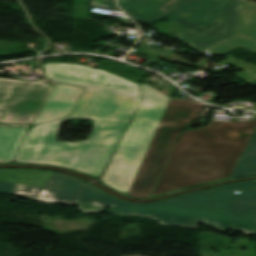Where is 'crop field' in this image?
Wrapping results in <instances>:
<instances>
[{"mask_svg": "<svg viewBox=\"0 0 256 256\" xmlns=\"http://www.w3.org/2000/svg\"><path fill=\"white\" fill-rule=\"evenodd\" d=\"M28 126L0 124V163H11Z\"/></svg>", "mask_w": 256, "mask_h": 256, "instance_id": "obj_12", "label": "crop field"}, {"mask_svg": "<svg viewBox=\"0 0 256 256\" xmlns=\"http://www.w3.org/2000/svg\"><path fill=\"white\" fill-rule=\"evenodd\" d=\"M48 79L87 87L72 114L27 131L16 162L50 164L100 177L141 102L139 85L102 69L80 64H44ZM82 117L95 121L88 140L58 142L61 123Z\"/></svg>", "mask_w": 256, "mask_h": 256, "instance_id": "obj_1", "label": "crop field"}, {"mask_svg": "<svg viewBox=\"0 0 256 256\" xmlns=\"http://www.w3.org/2000/svg\"><path fill=\"white\" fill-rule=\"evenodd\" d=\"M203 107L204 105L199 102L170 100L128 196L149 197L167 162L176 138L188 122L201 118L197 113Z\"/></svg>", "mask_w": 256, "mask_h": 256, "instance_id": "obj_6", "label": "crop field"}, {"mask_svg": "<svg viewBox=\"0 0 256 256\" xmlns=\"http://www.w3.org/2000/svg\"><path fill=\"white\" fill-rule=\"evenodd\" d=\"M238 46L256 52V6L246 3L239 33L207 51L222 55Z\"/></svg>", "mask_w": 256, "mask_h": 256, "instance_id": "obj_11", "label": "crop field"}, {"mask_svg": "<svg viewBox=\"0 0 256 256\" xmlns=\"http://www.w3.org/2000/svg\"><path fill=\"white\" fill-rule=\"evenodd\" d=\"M50 88L41 82L0 78V122H33Z\"/></svg>", "mask_w": 256, "mask_h": 256, "instance_id": "obj_7", "label": "crop field"}, {"mask_svg": "<svg viewBox=\"0 0 256 256\" xmlns=\"http://www.w3.org/2000/svg\"><path fill=\"white\" fill-rule=\"evenodd\" d=\"M162 1H166V0H162Z\"/></svg>", "mask_w": 256, "mask_h": 256, "instance_id": "obj_18", "label": "crop field"}, {"mask_svg": "<svg viewBox=\"0 0 256 256\" xmlns=\"http://www.w3.org/2000/svg\"><path fill=\"white\" fill-rule=\"evenodd\" d=\"M16 184L0 180V193L14 195Z\"/></svg>", "mask_w": 256, "mask_h": 256, "instance_id": "obj_17", "label": "crop field"}, {"mask_svg": "<svg viewBox=\"0 0 256 256\" xmlns=\"http://www.w3.org/2000/svg\"><path fill=\"white\" fill-rule=\"evenodd\" d=\"M91 6L114 10V11H120L116 6H114L109 0H92L90 3Z\"/></svg>", "mask_w": 256, "mask_h": 256, "instance_id": "obj_16", "label": "crop field"}, {"mask_svg": "<svg viewBox=\"0 0 256 256\" xmlns=\"http://www.w3.org/2000/svg\"><path fill=\"white\" fill-rule=\"evenodd\" d=\"M83 88L56 83L34 123H44L70 115Z\"/></svg>", "mask_w": 256, "mask_h": 256, "instance_id": "obj_10", "label": "crop field"}, {"mask_svg": "<svg viewBox=\"0 0 256 256\" xmlns=\"http://www.w3.org/2000/svg\"><path fill=\"white\" fill-rule=\"evenodd\" d=\"M119 6L133 19L151 25L201 0H118Z\"/></svg>", "mask_w": 256, "mask_h": 256, "instance_id": "obj_9", "label": "crop field"}, {"mask_svg": "<svg viewBox=\"0 0 256 256\" xmlns=\"http://www.w3.org/2000/svg\"><path fill=\"white\" fill-rule=\"evenodd\" d=\"M234 191H240L235 194ZM111 207L113 214L138 215L158 220L166 226L199 229L205 224L221 232L232 228L254 234L256 231V180L201 190L148 204L128 203L85 185L78 208L87 214Z\"/></svg>", "mask_w": 256, "mask_h": 256, "instance_id": "obj_2", "label": "crop field"}, {"mask_svg": "<svg viewBox=\"0 0 256 256\" xmlns=\"http://www.w3.org/2000/svg\"><path fill=\"white\" fill-rule=\"evenodd\" d=\"M54 172L27 169L0 170V179L42 188Z\"/></svg>", "mask_w": 256, "mask_h": 256, "instance_id": "obj_13", "label": "crop field"}, {"mask_svg": "<svg viewBox=\"0 0 256 256\" xmlns=\"http://www.w3.org/2000/svg\"><path fill=\"white\" fill-rule=\"evenodd\" d=\"M255 128L256 119L214 121L206 128L184 132L152 196L230 178Z\"/></svg>", "mask_w": 256, "mask_h": 256, "instance_id": "obj_3", "label": "crop field"}, {"mask_svg": "<svg viewBox=\"0 0 256 256\" xmlns=\"http://www.w3.org/2000/svg\"><path fill=\"white\" fill-rule=\"evenodd\" d=\"M141 93H142V97L148 100L168 102L170 99L169 97L158 93L155 89L148 86L147 83L141 84Z\"/></svg>", "mask_w": 256, "mask_h": 256, "instance_id": "obj_15", "label": "crop field"}, {"mask_svg": "<svg viewBox=\"0 0 256 256\" xmlns=\"http://www.w3.org/2000/svg\"><path fill=\"white\" fill-rule=\"evenodd\" d=\"M84 181L55 173L42 188L17 184L15 195L45 203L77 204Z\"/></svg>", "mask_w": 256, "mask_h": 256, "instance_id": "obj_8", "label": "crop field"}, {"mask_svg": "<svg viewBox=\"0 0 256 256\" xmlns=\"http://www.w3.org/2000/svg\"><path fill=\"white\" fill-rule=\"evenodd\" d=\"M168 103L142 100L101 181L128 193Z\"/></svg>", "mask_w": 256, "mask_h": 256, "instance_id": "obj_4", "label": "crop field"}, {"mask_svg": "<svg viewBox=\"0 0 256 256\" xmlns=\"http://www.w3.org/2000/svg\"><path fill=\"white\" fill-rule=\"evenodd\" d=\"M242 4L241 0H203L165 20L187 27L173 38L200 52L235 35Z\"/></svg>", "mask_w": 256, "mask_h": 256, "instance_id": "obj_5", "label": "crop field"}, {"mask_svg": "<svg viewBox=\"0 0 256 256\" xmlns=\"http://www.w3.org/2000/svg\"><path fill=\"white\" fill-rule=\"evenodd\" d=\"M256 175V131L246 147L231 178Z\"/></svg>", "mask_w": 256, "mask_h": 256, "instance_id": "obj_14", "label": "crop field"}]
</instances>
